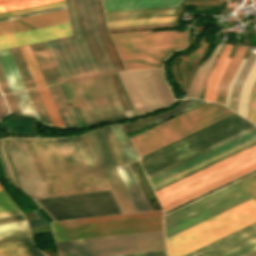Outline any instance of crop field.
Instances as JSON below:
<instances>
[{"label":"crop field","instance_id":"1","mask_svg":"<svg viewBox=\"0 0 256 256\" xmlns=\"http://www.w3.org/2000/svg\"><path fill=\"white\" fill-rule=\"evenodd\" d=\"M67 5L74 37L44 43L61 81L121 71L99 0H67Z\"/></svg>","mask_w":256,"mask_h":256},{"label":"crop field","instance_id":"2","mask_svg":"<svg viewBox=\"0 0 256 256\" xmlns=\"http://www.w3.org/2000/svg\"><path fill=\"white\" fill-rule=\"evenodd\" d=\"M256 168V145L157 191L163 211Z\"/></svg>","mask_w":256,"mask_h":256},{"label":"crop field","instance_id":"3","mask_svg":"<svg viewBox=\"0 0 256 256\" xmlns=\"http://www.w3.org/2000/svg\"><path fill=\"white\" fill-rule=\"evenodd\" d=\"M126 70L161 67L175 49L186 46L187 30H151L110 34Z\"/></svg>","mask_w":256,"mask_h":256},{"label":"crop field","instance_id":"4","mask_svg":"<svg viewBox=\"0 0 256 256\" xmlns=\"http://www.w3.org/2000/svg\"><path fill=\"white\" fill-rule=\"evenodd\" d=\"M256 221L251 199L165 240L168 256H183Z\"/></svg>","mask_w":256,"mask_h":256},{"label":"crop field","instance_id":"5","mask_svg":"<svg viewBox=\"0 0 256 256\" xmlns=\"http://www.w3.org/2000/svg\"><path fill=\"white\" fill-rule=\"evenodd\" d=\"M253 126L234 114L141 158L146 176Z\"/></svg>","mask_w":256,"mask_h":256},{"label":"crop field","instance_id":"6","mask_svg":"<svg viewBox=\"0 0 256 256\" xmlns=\"http://www.w3.org/2000/svg\"><path fill=\"white\" fill-rule=\"evenodd\" d=\"M56 241L162 230L161 211L51 223Z\"/></svg>","mask_w":256,"mask_h":256},{"label":"crop field","instance_id":"7","mask_svg":"<svg viewBox=\"0 0 256 256\" xmlns=\"http://www.w3.org/2000/svg\"><path fill=\"white\" fill-rule=\"evenodd\" d=\"M59 256H109L165 249L162 231L56 242Z\"/></svg>","mask_w":256,"mask_h":256},{"label":"crop field","instance_id":"8","mask_svg":"<svg viewBox=\"0 0 256 256\" xmlns=\"http://www.w3.org/2000/svg\"><path fill=\"white\" fill-rule=\"evenodd\" d=\"M232 113L223 105L207 103L131 140L142 156Z\"/></svg>","mask_w":256,"mask_h":256},{"label":"crop field","instance_id":"9","mask_svg":"<svg viewBox=\"0 0 256 256\" xmlns=\"http://www.w3.org/2000/svg\"><path fill=\"white\" fill-rule=\"evenodd\" d=\"M50 196L82 193L55 139H22Z\"/></svg>","mask_w":256,"mask_h":256},{"label":"crop field","instance_id":"10","mask_svg":"<svg viewBox=\"0 0 256 256\" xmlns=\"http://www.w3.org/2000/svg\"><path fill=\"white\" fill-rule=\"evenodd\" d=\"M251 199L231 184L164 216L165 239Z\"/></svg>","mask_w":256,"mask_h":256},{"label":"crop field","instance_id":"11","mask_svg":"<svg viewBox=\"0 0 256 256\" xmlns=\"http://www.w3.org/2000/svg\"><path fill=\"white\" fill-rule=\"evenodd\" d=\"M69 84L88 126L126 118L107 76Z\"/></svg>","mask_w":256,"mask_h":256},{"label":"crop field","instance_id":"12","mask_svg":"<svg viewBox=\"0 0 256 256\" xmlns=\"http://www.w3.org/2000/svg\"><path fill=\"white\" fill-rule=\"evenodd\" d=\"M165 107L173 99L167 89L162 69L148 70ZM147 70L117 73L136 115L163 108V101ZM174 102V101H173Z\"/></svg>","mask_w":256,"mask_h":256},{"label":"crop field","instance_id":"13","mask_svg":"<svg viewBox=\"0 0 256 256\" xmlns=\"http://www.w3.org/2000/svg\"><path fill=\"white\" fill-rule=\"evenodd\" d=\"M36 201L55 221L121 213L110 191Z\"/></svg>","mask_w":256,"mask_h":256},{"label":"crop field","instance_id":"14","mask_svg":"<svg viewBox=\"0 0 256 256\" xmlns=\"http://www.w3.org/2000/svg\"><path fill=\"white\" fill-rule=\"evenodd\" d=\"M56 140L83 193L111 189L84 135Z\"/></svg>","mask_w":256,"mask_h":256},{"label":"crop field","instance_id":"15","mask_svg":"<svg viewBox=\"0 0 256 256\" xmlns=\"http://www.w3.org/2000/svg\"><path fill=\"white\" fill-rule=\"evenodd\" d=\"M254 129H256L255 126L249 128V129H247V130H245V131H243V132H241V133H239L237 135H234V136H232V137H230V138H228V139H226V140H224V141H222L220 143H217V144H215V145H213V146H211V147H209V148H207V149H205V150H203L201 152H198V153H196V154H194V155H192V156H190V157H188V158H186L184 160H181V161H179V162H177V163H175V164H173V165H171V166H169V167H167L165 169H162V170H160V171H158V172L148 176V179H151V178H153V177H155V176H157V175H159V174H161V173H163V172H165L167 170H170V169H172V168H174V167H176V166H178V165H180V164H182L184 162H187V161H189V160H191V159H193V158H195V157H197V156H199V155H201L203 153H206V152H208V151H210V150H212V149H214V148H216V147H218L220 145H223V144H225V143H227V142H229V141H231V140H233V139H235V138H237L239 136H242V135H244V134H246V133H248V132H250V131H252ZM255 137H256V130H254V131H252V132H250V133H248V134H246V135H244V136H242L240 138H237V139H235V140H233V141H231V142H229V143H227V144H225L223 146H220V147H218V148H216V149H214V150H212V151H210V152H208V153H206L204 155H201V156H199V157H197V158H195V159H193V160H191V161H189L187 163H184V164H182V165H180V166H178V167H176V168H174V169H172V170H170L168 172H165V173H163V174H161V175H159V176H157V177H155V178H153V179H151L149 181H150L151 185L157 184V183H159V182H161V181H163V180H165V179H167L169 177H172V176H174V175H176V174H178V173H180V172H182V171H184L186 169H189V168H191V167H193V166H195V165H197V164H199L201 162H204V161H206V160H208V159H210V158H212V157H214V156H216L218 154H221V153H223V152H225V151H227V150H229V149H231L233 147H236V146H238V145H240V144H242V143H244V142H246V141H248L250 139H253ZM255 142H256V138L253 139V140H250V141H248V142H246V143H244V144H242V145H240V146H238L236 148H233V149H231V150H229V151H227V152H225V153H223L221 155H218V156H216V157H214V158H212V159H210V160H208V161H206L204 163H201V164H199V165H197V166H195V167H193V168H191L189 170H186V171H184V172H182V173H180V174H178V175H176V176H174L172 178H169V179H167V180H165V181H163V182L153 186L152 188H153V190H155V189H157V188H159V187H161V186H163V185H165L167 183H170V182H172V181H174V180H176V179H178V178H180L182 176H185V175H187V174H189V173H191V172H193V171H195L197 169H200V168H202V167H204V166H206V165H208L210 163H213V162H215V161H217V160H219V159H221V158H223L225 156H228V155H230V154H232V153H234V152H236V151H238L240 149H243V148H245V147H247V146H249V145H251V144H253Z\"/></svg>","mask_w":256,"mask_h":256},{"label":"crop field","instance_id":"16","mask_svg":"<svg viewBox=\"0 0 256 256\" xmlns=\"http://www.w3.org/2000/svg\"><path fill=\"white\" fill-rule=\"evenodd\" d=\"M123 212H137L115 168L116 164L98 129L85 135Z\"/></svg>","mask_w":256,"mask_h":256},{"label":"crop field","instance_id":"17","mask_svg":"<svg viewBox=\"0 0 256 256\" xmlns=\"http://www.w3.org/2000/svg\"><path fill=\"white\" fill-rule=\"evenodd\" d=\"M256 251V224L188 256H246Z\"/></svg>","mask_w":256,"mask_h":256},{"label":"crop field","instance_id":"18","mask_svg":"<svg viewBox=\"0 0 256 256\" xmlns=\"http://www.w3.org/2000/svg\"><path fill=\"white\" fill-rule=\"evenodd\" d=\"M7 151L19 175L22 190L33 198L48 196L20 139H10Z\"/></svg>","mask_w":256,"mask_h":256},{"label":"crop field","instance_id":"19","mask_svg":"<svg viewBox=\"0 0 256 256\" xmlns=\"http://www.w3.org/2000/svg\"><path fill=\"white\" fill-rule=\"evenodd\" d=\"M71 35L70 25L62 24L0 36V50L47 40H53Z\"/></svg>","mask_w":256,"mask_h":256},{"label":"crop field","instance_id":"20","mask_svg":"<svg viewBox=\"0 0 256 256\" xmlns=\"http://www.w3.org/2000/svg\"><path fill=\"white\" fill-rule=\"evenodd\" d=\"M181 8L105 14L106 21L176 16ZM178 17V16H177ZM177 17L107 22L108 27L176 22Z\"/></svg>","mask_w":256,"mask_h":256},{"label":"crop field","instance_id":"21","mask_svg":"<svg viewBox=\"0 0 256 256\" xmlns=\"http://www.w3.org/2000/svg\"><path fill=\"white\" fill-rule=\"evenodd\" d=\"M69 22L67 12L59 11L0 23V35Z\"/></svg>","mask_w":256,"mask_h":256},{"label":"crop field","instance_id":"22","mask_svg":"<svg viewBox=\"0 0 256 256\" xmlns=\"http://www.w3.org/2000/svg\"><path fill=\"white\" fill-rule=\"evenodd\" d=\"M183 3V0H103L105 12L171 7Z\"/></svg>","mask_w":256,"mask_h":256},{"label":"crop field","instance_id":"23","mask_svg":"<svg viewBox=\"0 0 256 256\" xmlns=\"http://www.w3.org/2000/svg\"><path fill=\"white\" fill-rule=\"evenodd\" d=\"M204 101L202 100H197V99H187V100H183L182 104L174 109L171 110L169 112H166L164 114H159V115H155V116H151V117H147V118H142V119H138L135 122L129 123V124H124L121 125V127L124 129L125 132H130V131H134V130H138L141 128H145L148 126H151L155 123H158L162 120H165L167 118H170L174 115H177L189 108H192L200 103H202Z\"/></svg>","mask_w":256,"mask_h":256},{"label":"crop field","instance_id":"24","mask_svg":"<svg viewBox=\"0 0 256 256\" xmlns=\"http://www.w3.org/2000/svg\"><path fill=\"white\" fill-rule=\"evenodd\" d=\"M126 188L127 191L137 209L138 212L149 211L150 208L128 166V164L117 166L116 167Z\"/></svg>","mask_w":256,"mask_h":256},{"label":"crop field","instance_id":"25","mask_svg":"<svg viewBox=\"0 0 256 256\" xmlns=\"http://www.w3.org/2000/svg\"><path fill=\"white\" fill-rule=\"evenodd\" d=\"M232 46L225 45L207 82L205 85V91H204V100L212 101L214 102L215 99V93H216V87L217 84L229 62V58H227Z\"/></svg>","mask_w":256,"mask_h":256},{"label":"crop field","instance_id":"26","mask_svg":"<svg viewBox=\"0 0 256 256\" xmlns=\"http://www.w3.org/2000/svg\"><path fill=\"white\" fill-rule=\"evenodd\" d=\"M30 49L47 85L61 82L43 43L31 45Z\"/></svg>","mask_w":256,"mask_h":256},{"label":"crop field","instance_id":"27","mask_svg":"<svg viewBox=\"0 0 256 256\" xmlns=\"http://www.w3.org/2000/svg\"><path fill=\"white\" fill-rule=\"evenodd\" d=\"M0 64L13 92L26 89L8 49L0 51Z\"/></svg>","mask_w":256,"mask_h":256},{"label":"crop field","instance_id":"28","mask_svg":"<svg viewBox=\"0 0 256 256\" xmlns=\"http://www.w3.org/2000/svg\"><path fill=\"white\" fill-rule=\"evenodd\" d=\"M245 50H246L245 47L237 46V48L232 56V59L218 84L215 102L224 104L227 86H228Z\"/></svg>","mask_w":256,"mask_h":256},{"label":"crop field","instance_id":"29","mask_svg":"<svg viewBox=\"0 0 256 256\" xmlns=\"http://www.w3.org/2000/svg\"><path fill=\"white\" fill-rule=\"evenodd\" d=\"M222 45H218V47L215 49V51L212 53V55L209 57V59L206 61V63L201 67V69L196 74L193 83L189 89V92L186 96V98L190 97H196L198 98L201 90L205 84V81L208 77V74L212 68V65L221 49Z\"/></svg>","mask_w":256,"mask_h":256},{"label":"crop field","instance_id":"30","mask_svg":"<svg viewBox=\"0 0 256 256\" xmlns=\"http://www.w3.org/2000/svg\"><path fill=\"white\" fill-rule=\"evenodd\" d=\"M66 128H77L58 85L48 87Z\"/></svg>","mask_w":256,"mask_h":256},{"label":"crop field","instance_id":"31","mask_svg":"<svg viewBox=\"0 0 256 256\" xmlns=\"http://www.w3.org/2000/svg\"><path fill=\"white\" fill-rule=\"evenodd\" d=\"M29 237L26 220L0 225V239Z\"/></svg>","mask_w":256,"mask_h":256},{"label":"crop field","instance_id":"32","mask_svg":"<svg viewBox=\"0 0 256 256\" xmlns=\"http://www.w3.org/2000/svg\"><path fill=\"white\" fill-rule=\"evenodd\" d=\"M54 127L65 128L47 87L37 89Z\"/></svg>","mask_w":256,"mask_h":256},{"label":"crop field","instance_id":"33","mask_svg":"<svg viewBox=\"0 0 256 256\" xmlns=\"http://www.w3.org/2000/svg\"><path fill=\"white\" fill-rule=\"evenodd\" d=\"M37 253L40 252L33 247L31 242L0 245V256H13Z\"/></svg>","mask_w":256,"mask_h":256},{"label":"crop field","instance_id":"34","mask_svg":"<svg viewBox=\"0 0 256 256\" xmlns=\"http://www.w3.org/2000/svg\"><path fill=\"white\" fill-rule=\"evenodd\" d=\"M116 164L127 163L109 126L99 129Z\"/></svg>","mask_w":256,"mask_h":256},{"label":"crop field","instance_id":"35","mask_svg":"<svg viewBox=\"0 0 256 256\" xmlns=\"http://www.w3.org/2000/svg\"><path fill=\"white\" fill-rule=\"evenodd\" d=\"M62 0H0V13Z\"/></svg>","mask_w":256,"mask_h":256},{"label":"crop field","instance_id":"36","mask_svg":"<svg viewBox=\"0 0 256 256\" xmlns=\"http://www.w3.org/2000/svg\"><path fill=\"white\" fill-rule=\"evenodd\" d=\"M30 47V46H29ZM28 46L19 48L37 87L46 85Z\"/></svg>","mask_w":256,"mask_h":256},{"label":"crop field","instance_id":"37","mask_svg":"<svg viewBox=\"0 0 256 256\" xmlns=\"http://www.w3.org/2000/svg\"><path fill=\"white\" fill-rule=\"evenodd\" d=\"M118 143L119 146L127 160V162H132L138 160L137 154L132 149L128 139L124 136L119 126H110Z\"/></svg>","mask_w":256,"mask_h":256},{"label":"crop field","instance_id":"38","mask_svg":"<svg viewBox=\"0 0 256 256\" xmlns=\"http://www.w3.org/2000/svg\"><path fill=\"white\" fill-rule=\"evenodd\" d=\"M27 89L36 87L18 48L9 49Z\"/></svg>","mask_w":256,"mask_h":256},{"label":"crop field","instance_id":"39","mask_svg":"<svg viewBox=\"0 0 256 256\" xmlns=\"http://www.w3.org/2000/svg\"><path fill=\"white\" fill-rule=\"evenodd\" d=\"M27 92H28V94H29V96L31 98V101H32L35 109H36V112H37V114H38V116L40 118V121L42 123L50 126V127H53L51 122H50V119H49V117H48V115L46 113V110H45V108L43 106V103H42V101H41V99L39 97V94H38L37 90L34 89V90H29Z\"/></svg>","mask_w":256,"mask_h":256},{"label":"crop field","instance_id":"40","mask_svg":"<svg viewBox=\"0 0 256 256\" xmlns=\"http://www.w3.org/2000/svg\"><path fill=\"white\" fill-rule=\"evenodd\" d=\"M13 95L22 113L34 115L38 118L26 91L15 93Z\"/></svg>","mask_w":256,"mask_h":256},{"label":"crop field","instance_id":"41","mask_svg":"<svg viewBox=\"0 0 256 256\" xmlns=\"http://www.w3.org/2000/svg\"><path fill=\"white\" fill-rule=\"evenodd\" d=\"M63 5H65L64 1L47 4V5H42V6H37V7L16 10V11H11V12H6V13H1L0 17L16 15V14H21V13H26V12H31V11H37V10H42V9H47V8H52V7H58V6H63Z\"/></svg>","mask_w":256,"mask_h":256},{"label":"crop field","instance_id":"42","mask_svg":"<svg viewBox=\"0 0 256 256\" xmlns=\"http://www.w3.org/2000/svg\"><path fill=\"white\" fill-rule=\"evenodd\" d=\"M243 189L256 199V180L251 176L237 182Z\"/></svg>","mask_w":256,"mask_h":256},{"label":"crop field","instance_id":"43","mask_svg":"<svg viewBox=\"0 0 256 256\" xmlns=\"http://www.w3.org/2000/svg\"><path fill=\"white\" fill-rule=\"evenodd\" d=\"M176 23H170V24H156V25H142V26H128V27H114V28H108L110 32L115 31H126V30H137V29H147V28H158V27H169V26H175Z\"/></svg>","mask_w":256,"mask_h":256},{"label":"crop field","instance_id":"44","mask_svg":"<svg viewBox=\"0 0 256 256\" xmlns=\"http://www.w3.org/2000/svg\"><path fill=\"white\" fill-rule=\"evenodd\" d=\"M16 207L8 199L3 191H0V212L15 211Z\"/></svg>","mask_w":256,"mask_h":256},{"label":"crop field","instance_id":"45","mask_svg":"<svg viewBox=\"0 0 256 256\" xmlns=\"http://www.w3.org/2000/svg\"><path fill=\"white\" fill-rule=\"evenodd\" d=\"M64 9H66L65 6L58 7V8L47 9V10H42V11H37V12L26 13V14H21V15H16V16H11V17L0 18V22L1 21H6V20H11V19L27 17V16H32V15H38V14L53 12V11L64 10Z\"/></svg>","mask_w":256,"mask_h":256},{"label":"crop field","instance_id":"46","mask_svg":"<svg viewBox=\"0 0 256 256\" xmlns=\"http://www.w3.org/2000/svg\"><path fill=\"white\" fill-rule=\"evenodd\" d=\"M248 120L256 124V85L253 89Z\"/></svg>","mask_w":256,"mask_h":256},{"label":"crop field","instance_id":"47","mask_svg":"<svg viewBox=\"0 0 256 256\" xmlns=\"http://www.w3.org/2000/svg\"><path fill=\"white\" fill-rule=\"evenodd\" d=\"M33 213L39 218L28 220L30 228L48 225L37 210L33 211Z\"/></svg>","mask_w":256,"mask_h":256},{"label":"crop field","instance_id":"48","mask_svg":"<svg viewBox=\"0 0 256 256\" xmlns=\"http://www.w3.org/2000/svg\"><path fill=\"white\" fill-rule=\"evenodd\" d=\"M4 98L12 112L21 113L12 94L4 95Z\"/></svg>","mask_w":256,"mask_h":256},{"label":"crop field","instance_id":"49","mask_svg":"<svg viewBox=\"0 0 256 256\" xmlns=\"http://www.w3.org/2000/svg\"><path fill=\"white\" fill-rule=\"evenodd\" d=\"M0 88L2 90V93H9V92H12L9 85H8V82L5 78V75L1 69V66H0Z\"/></svg>","mask_w":256,"mask_h":256},{"label":"crop field","instance_id":"50","mask_svg":"<svg viewBox=\"0 0 256 256\" xmlns=\"http://www.w3.org/2000/svg\"><path fill=\"white\" fill-rule=\"evenodd\" d=\"M22 219H25L23 215L12 216V217H5V218H0V223L11 222V221H16V220H22Z\"/></svg>","mask_w":256,"mask_h":256},{"label":"crop field","instance_id":"51","mask_svg":"<svg viewBox=\"0 0 256 256\" xmlns=\"http://www.w3.org/2000/svg\"><path fill=\"white\" fill-rule=\"evenodd\" d=\"M7 112H8V110H7V108H6L5 104H4V101H3V99H2V97H1V95H0V118H1L4 114H6Z\"/></svg>","mask_w":256,"mask_h":256},{"label":"crop field","instance_id":"52","mask_svg":"<svg viewBox=\"0 0 256 256\" xmlns=\"http://www.w3.org/2000/svg\"><path fill=\"white\" fill-rule=\"evenodd\" d=\"M25 241H30L29 238H24V239H12V240H1V243H13V242H25Z\"/></svg>","mask_w":256,"mask_h":256},{"label":"crop field","instance_id":"53","mask_svg":"<svg viewBox=\"0 0 256 256\" xmlns=\"http://www.w3.org/2000/svg\"><path fill=\"white\" fill-rule=\"evenodd\" d=\"M19 214H21L19 211L8 212V213H0V217L12 216V215H19Z\"/></svg>","mask_w":256,"mask_h":256},{"label":"crop field","instance_id":"54","mask_svg":"<svg viewBox=\"0 0 256 256\" xmlns=\"http://www.w3.org/2000/svg\"><path fill=\"white\" fill-rule=\"evenodd\" d=\"M25 256H44L43 254H37V255H25Z\"/></svg>","mask_w":256,"mask_h":256},{"label":"crop field","instance_id":"55","mask_svg":"<svg viewBox=\"0 0 256 256\" xmlns=\"http://www.w3.org/2000/svg\"><path fill=\"white\" fill-rule=\"evenodd\" d=\"M252 177H254L255 179H256V173L255 174H253V175H251Z\"/></svg>","mask_w":256,"mask_h":256},{"label":"crop field","instance_id":"56","mask_svg":"<svg viewBox=\"0 0 256 256\" xmlns=\"http://www.w3.org/2000/svg\"><path fill=\"white\" fill-rule=\"evenodd\" d=\"M255 27H256V24H255Z\"/></svg>","mask_w":256,"mask_h":256},{"label":"crop field","instance_id":"57","mask_svg":"<svg viewBox=\"0 0 256 256\" xmlns=\"http://www.w3.org/2000/svg\"><path fill=\"white\" fill-rule=\"evenodd\" d=\"M254 256H256V255H254Z\"/></svg>","mask_w":256,"mask_h":256},{"label":"crop field","instance_id":"58","mask_svg":"<svg viewBox=\"0 0 256 256\" xmlns=\"http://www.w3.org/2000/svg\"><path fill=\"white\" fill-rule=\"evenodd\" d=\"M0 190H1V188H0Z\"/></svg>","mask_w":256,"mask_h":256}]
</instances>
